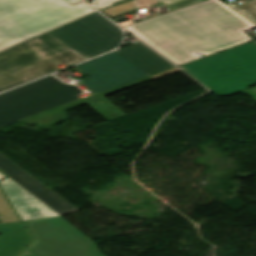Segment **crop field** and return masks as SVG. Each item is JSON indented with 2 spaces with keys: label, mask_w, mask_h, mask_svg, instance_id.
<instances>
[{
  "label": "crop field",
  "mask_w": 256,
  "mask_h": 256,
  "mask_svg": "<svg viewBox=\"0 0 256 256\" xmlns=\"http://www.w3.org/2000/svg\"><path fill=\"white\" fill-rule=\"evenodd\" d=\"M178 65L250 41L244 30L256 28L219 0L186 8L124 27Z\"/></svg>",
  "instance_id": "crop-field-1"
},
{
  "label": "crop field",
  "mask_w": 256,
  "mask_h": 256,
  "mask_svg": "<svg viewBox=\"0 0 256 256\" xmlns=\"http://www.w3.org/2000/svg\"><path fill=\"white\" fill-rule=\"evenodd\" d=\"M86 60L49 32L0 53V92Z\"/></svg>",
  "instance_id": "crop-field-2"
},
{
  "label": "crop field",
  "mask_w": 256,
  "mask_h": 256,
  "mask_svg": "<svg viewBox=\"0 0 256 256\" xmlns=\"http://www.w3.org/2000/svg\"><path fill=\"white\" fill-rule=\"evenodd\" d=\"M92 11L62 0H0V50Z\"/></svg>",
  "instance_id": "crop-field-3"
},
{
  "label": "crop field",
  "mask_w": 256,
  "mask_h": 256,
  "mask_svg": "<svg viewBox=\"0 0 256 256\" xmlns=\"http://www.w3.org/2000/svg\"><path fill=\"white\" fill-rule=\"evenodd\" d=\"M180 68L217 96H226L256 84V46L249 43Z\"/></svg>",
  "instance_id": "crop-field-4"
},
{
  "label": "crop field",
  "mask_w": 256,
  "mask_h": 256,
  "mask_svg": "<svg viewBox=\"0 0 256 256\" xmlns=\"http://www.w3.org/2000/svg\"><path fill=\"white\" fill-rule=\"evenodd\" d=\"M76 86L65 85L52 75L0 95V100L26 118L80 100Z\"/></svg>",
  "instance_id": "crop-field-5"
},
{
  "label": "crop field",
  "mask_w": 256,
  "mask_h": 256,
  "mask_svg": "<svg viewBox=\"0 0 256 256\" xmlns=\"http://www.w3.org/2000/svg\"><path fill=\"white\" fill-rule=\"evenodd\" d=\"M50 32L87 59L119 46L123 39L122 31L98 13Z\"/></svg>",
  "instance_id": "crop-field-6"
},
{
  "label": "crop field",
  "mask_w": 256,
  "mask_h": 256,
  "mask_svg": "<svg viewBox=\"0 0 256 256\" xmlns=\"http://www.w3.org/2000/svg\"><path fill=\"white\" fill-rule=\"evenodd\" d=\"M76 67L91 77L76 84L92 95L148 76L115 52Z\"/></svg>",
  "instance_id": "crop-field-7"
},
{
  "label": "crop field",
  "mask_w": 256,
  "mask_h": 256,
  "mask_svg": "<svg viewBox=\"0 0 256 256\" xmlns=\"http://www.w3.org/2000/svg\"><path fill=\"white\" fill-rule=\"evenodd\" d=\"M149 80H152V79L148 77V78L127 84L125 86L119 87L117 89L111 90L109 92H106V93L58 108L56 110L44 113L42 115L24 120L22 122L34 123V124H39L44 126H51L55 123H58L60 121L67 119L65 110L85 104V103L91 106L95 111H97L100 115L105 117L107 120H111V119L123 116L124 114L121 111H119L117 108H115L103 96L149 81Z\"/></svg>",
  "instance_id": "crop-field-8"
},
{
  "label": "crop field",
  "mask_w": 256,
  "mask_h": 256,
  "mask_svg": "<svg viewBox=\"0 0 256 256\" xmlns=\"http://www.w3.org/2000/svg\"><path fill=\"white\" fill-rule=\"evenodd\" d=\"M0 185L23 221L60 216L11 179Z\"/></svg>",
  "instance_id": "crop-field-9"
},
{
  "label": "crop field",
  "mask_w": 256,
  "mask_h": 256,
  "mask_svg": "<svg viewBox=\"0 0 256 256\" xmlns=\"http://www.w3.org/2000/svg\"><path fill=\"white\" fill-rule=\"evenodd\" d=\"M9 159V158H8ZM0 153V170L8 175L13 181L22 186L32 195L37 197L43 203L48 205L58 214L63 215L70 213L66 208L48 196L46 193L50 191L48 187L32 177L30 174L22 170L20 167L12 163Z\"/></svg>",
  "instance_id": "crop-field-10"
},
{
  "label": "crop field",
  "mask_w": 256,
  "mask_h": 256,
  "mask_svg": "<svg viewBox=\"0 0 256 256\" xmlns=\"http://www.w3.org/2000/svg\"><path fill=\"white\" fill-rule=\"evenodd\" d=\"M116 52L149 76L174 67L140 42L124 47Z\"/></svg>",
  "instance_id": "crop-field-11"
},
{
  "label": "crop field",
  "mask_w": 256,
  "mask_h": 256,
  "mask_svg": "<svg viewBox=\"0 0 256 256\" xmlns=\"http://www.w3.org/2000/svg\"><path fill=\"white\" fill-rule=\"evenodd\" d=\"M200 1L203 0H139L135 2V5L136 9L141 7L158 5L162 7L165 13H167Z\"/></svg>",
  "instance_id": "crop-field-12"
},
{
  "label": "crop field",
  "mask_w": 256,
  "mask_h": 256,
  "mask_svg": "<svg viewBox=\"0 0 256 256\" xmlns=\"http://www.w3.org/2000/svg\"><path fill=\"white\" fill-rule=\"evenodd\" d=\"M18 221H19L18 217L16 216L10 203L8 202L2 190L0 189V222L1 224L18 222Z\"/></svg>",
  "instance_id": "crop-field-13"
},
{
  "label": "crop field",
  "mask_w": 256,
  "mask_h": 256,
  "mask_svg": "<svg viewBox=\"0 0 256 256\" xmlns=\"http://www.w3.org/2000/svg\"><path fill=\"white\" fill-rule=\"evenodd\" d=\"M227 5L256 25V0L243 6H237L232 3H228Z\"/></svg>",
  "instance_id": "crop-field-14"
},
{
  "label": "crop field",
  "mask_w": 256,
  "mask_h": 256,
  "mask_svg": "<svg viewBox=\"0 0 256 256\" xmlns=\"http://www.w3.org/2000/svg\"><path fill=\"white\" fill-rule=\"evenodd\" d=\"M20 119L23 118L0 101V127Z\"/></svg>",
  "instance_id": "crop-field-15"
},
{
  "label": "crop field",
  "mask_w": 256,
  "mask_h": 256,
  "mask_svg": "<svg viewBox=\"0 0 256 256\" xmlns=\"http://www.w3.org/2000/svg\"><path fill=\"white\" fill-rule=\"evenodd\" d=\"M48 195H50L52 198H54L56 201H58L60 204H62L64 207H66L68 210H70L71 212L77 210L74 206H72L70 203H68L66 200H64L63 198H61L59 195H57L55 192H53L52 190L47 193Z\"/></svg>",
  "instance_id": "crop-field-16"
},
{
  "label": "crop field",
  "mask_w": 256,
  "mask_h": 256,
  "mask_svg": "<svg viewBox=\"0 0 256 256\" xmlns=\"http://www.w3.org/2000/svg\"><path fill=\"white\" fill-rule=\"evenodd\" d=\"M123 1H126V0H95V5L98 8V10H100L105 7H108Z\"/></svg>",
  "instance_id": "crop-field-17"
},
{
  "label": "crop field",
  "mask_w": 256,
  "mask_h": 256,
  "mask_svg": "<svg viewBox=\"0 0 256 256\" xmlns=\"http://www.w3.org/2000/svg\"><path fill=\"white\" fill-rule=\"evenodd\" d=\"M174 71H178V69L175 68V69H172V70H169V71H166V72H162V73L153 75V76H151V77H152L153 79H155V78H157V77L163 76V75H165V74H168V73H171V72H174Z\"/></svg>",
  "instance_id": "crop-field-18"
},
{
  "label": "crop field",
  "mask_w": 256,
  "mask_h": 256,
  "mask_svg": "<svg viewBox=\"0 0 256 256\" xmlns=\"http://www.w3.org/2000/svg\"><path fill=\"white\" fill-rule=\"evenodd\" d=\"M67 2L69 3H75V2H78V1H81V0H66Z\"/></svg>",
  "instance_id": "crop-field-19"
},
{
  "label": "crop field",
  "mask_w": 256,
  "mask_h": 256,
  "mask_svg": "<svg viewBox=\"0 0 256 256\" xmlns=\"http://www.w3.org/2000/svg\"><path fill=\"white\" fill-rule=\"evenodd\" d=\"M3 177H5V176L0 173V179L3 178Z\"/></svg>",
  "instance_id": "crop-field-20"
},
{
  "label": "crop field",
  "mask_w": 256,
  "mask_h": 256,
  "mask_svg": "<svg viewBox=\"0 0 256 256\" xmlns=\"http://www.w3.org/2000/svg\"><path fill=\"white\" fill-rule=\"evenodd\" d=\"M254 43L256 44V41H254Z\"/></svg>",
  "instance_id": "crop-field-21"
}]
</instances>
